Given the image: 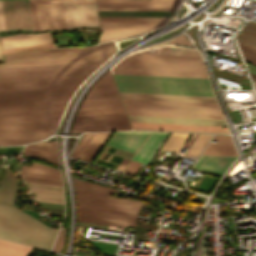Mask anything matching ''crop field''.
Masks as SVG:
<instances>
[{
	"instance_id": "d32e631a",
	"label": "crop field",
	"mask_w": 256,
	"mask_h": 256,
	"mask_svg": "<svg viewBox=\"0 0 256 256\" xmlns=\"http://www.w3.org/2000/svg\"><path fill=\"white\" fill-rule=\"evenodd\" d=\"M122 105L120 99L83 101L81 107Z\"/></svg>"
},
{
	"instance_id": "3316defc",
	"label": "crop field",
	"mask_w": 256,
	"mask_h": 256,
	"mask_svg": "<svg viewBox=\"0 0 256 256\" xmlns=\"http://www.w3.org/2000/svg\"><path fill=\"white\" fill-rule=\"evenodd\" d=\"M34 31L67 28L63 0H29Z\"/></svg>"
},
{
	"instance_id": "d1516ede",
	"label": "crop field",
	"mask_w": 256,
	"mask_h": 256,
	"mask_svg": "<svg viewBox=\"0 0 256 256\" xmlns=\"http://www.w3.org/2000/svg\"><path fill=\"white\" fill-rule=\"evenodd\" d=\"M131 129L125 113L77 115L72 132Z\"/></svg>"
},
{
	"instance_id": "5a996713",
	"label": "crop field",
	"mask_w": 256,
	"mask_h": 256,
	"mask_svg": "<svg viewBox=\"0 0 256 256\" xmlns=\"http://www.w3.org/2000/svg\"><path fill=\"white\" fill-rule=\"evenodd\" d=\"M102 34L99 42L142 33L163 18H99Z\"/></svg>"
},
{
	"instance_id": "28ad6ade",
	"label": "crop field",
	"mask_w": 256,
	"mask_h": 256,
	"mask_svg": "<svg viewBox=\"0 0 256 256\" xmlns=\"http://www.w3.org/2000/svg\"><path fill=\"white\" fill-rule=\"evenodd\" d=\"M33 31L28 0H0V32Z\"/></svg>"
},
{
	"instance_id": "0bd39190",
	"label": "crop field",
	"mask_w": 256,
	"mask_h": 256,
	"mask_svg": "<svg viewBox=\"0 0 256 256\" xmlns=\"http://www.w3.org/2000/svg\"><path fill=\"white\" fill-rule=\"evenodd\" d=\"M63 240H64V230H59L57 240L52 248V251H55V252L60 251L63 246Z\"/></svg>"
},
{
	"instance_id": "ae1a2a85",
	"label": "crop field",
	"mask_w": 256,
	"mask_h": 256,
	"mask_svg": "<svg viewBox=\"0 0 256 256\" xmlns=\"http://www.w3.org/2000/svg\"><path fill=\"white\" fill-rule=\"evenodd\" d=\"M189 136L190 134L171 133L161 149L179 152Z\"/></svg>"
},
{
	"instance_id": "22f410ed",
	"label": "crop field",
	"mask_w": 256,
	"mask_h": 256,
	"mask_svg": "<svg viewBox=\"0 0 256 256\" xmlns=\"http://www.w3.org/2000/svg\"><path fill=\"white\" fill-rule=\"evenodd\" d=\"M68 28L99 26L95 0H64Z\"/></svg>"
},
{
	"instance_id": "5866460e",
	"label": "crop field",
	"mask_w": 256,
	"mask_h": 256,
	"mask_svg": "<svg viewBox=\"0 0 256 256\" xmlns=\"http://www.w3.org/2000/svg\"><path fill=\"white\" fill-rule=\"evenodd\" d=\"M94 135V133H90V134H84V136L82 137V139L79 141V143L77 144V146L75 147V149L72 151V153L70 154L71 157H76L78 158V156L80 155V153L83 151V149L85 148V146L87 145V143L89 142V140L92 138V136ZM75 158V159H76Z\"/></svg>"
},
{
	"instance_id": "cbeb9de0",
	"label": "crop field",
	"mask_w": 256,
	"mask_h": 256,
	"mask_svg": "<svg viewBox=\"0 0 256 256\" xmlns=\"http://www.w3.org/2000/svg\"><path fill=\"white\" fill-rule=\"evenodd\" d=\"M173 0H97L98 10H169Z\"/></svg>"
},
{
	"instance_id": "b54c1fbb",
	"label": "crop field",
	"mask_w": 256,
	"mask_h": 256,
	"mask_svg": "<svg viewBox=\"0 0 256 256\" xmlns=\"http://www.w3.org/2000/svg\"><path fill=\"white\" fill-rule=\"evenodd\" d=\"M0 61H3L2 54H1V49H0Z\"/></svg>"
},
{
	"instance_id": "ac0d7876",
	"label": "crop field",
	"mask_w": 256,
	"mask_h": 256,
	"mask_svg": "<svg viewBox=\"0 0 256 256\" xmlns=\"http://www.w3.org/2000/svg\"><path fill=\"white\" fill-rule=\"evenodd\" d=\"M78 221L155 231L158 225L136 223L142 202L106 197L116 189L79 180L73 175Z\"/></svg>"
},
{
	"instance_id": "dafd665d",
	"label": "crop field",
	"mask_w": 256,
	"mask_h": 256,
	"mask_svg": "<svg viewBox=\"0 0 256 256\" xmlns=\"http://www.w3.org/2000/svg\"><path fill=\"white\" fill-rule=\"evenodd\" d=\"M122 98L217 102L215 97L120 93Z\"/></svg>"
},
{
	"instance_id": "dd49c442",
	"label": "crop field",
	"mask_w": 256,
	"mask_h": 256,
	"mask_svg": "<svg viewBox=\"0 0 256 256\" xmlns=\"http://www.w3.org/2000/svg\"><path fill=\"white\" fill-rule=\"evenodd\" d=\"M122 100L128 115L224 119L217 103Z\"/></svg>"
},
{
	"instance_id": "bd1437ed",
	"label": "crop field",
	"mask_w": 256,
	"mask_h": 256,
	"mask_svg": "<svg viewBox=\"0 0 256 256\" xmlns=\"http://www.w3.org/2000/svg\"><path fill=\"white\" fill-rule=\"evenodd\" d=\"M211 135L199 134L194 143L186 152L185 156L189 157L191 154L198 156L204 145L207 143Z\"/></svg>"
},
{
	"instance_id": "730fd06b",
	"label": "crop field",
	"mask_w": 256,
	"mask_h": 256,
	"mask_svg": "<svg viewBox=\"0 0 256 256\" xmlns=\"http://www.w3.org/2000/svg\"><path fill=\"white\" fill-rule=\"evenodd\" d=\"M240 44L256 48V23L248 22L237 36Z\"/></svg>"
},
{
	"instance_id": "bc2a9ffb",
	"label": "crop field",
	"mask_w": 256,
	"mask_h": 256,
	"mask_svg": "<svg viewBox=\"0 0 256 256\" xmlns=\"http://www.w3.org/2000/svg\"><path fill=\"white\" fill-rule=\"evenodd\" d=\"M31 193L35 194V199L40 201L64 204L62 187L48 186L27 182Z\"/></svg>"
},
{
	"instance_id": "92a150f3",
	"label": "crop field",
	"mask_w": 256,
	"mask_h": 256,
	"mask_svg": "<svg viewBox=\"0 0 256 256\" xmlns=\"http://www.w3.org/2000/svg\"><path fill=\"white\" fill-rule=\"evenodd\" d=\"M36 163H33L32 167L22 166L20 176L23 178L24 175H27V176L62 181L60 172L56 168L50 167V166H44L45 164L40 165Z\"/></svg>"
},
{
	"instance_id": "a9b5d70f",
	"label": "crop field",
	"mask_w": 256,
	"mask_h": 256,
	"mask_svg": "<svg viewBox=\"0 0 256 256\" xmlns=\"http://www.w3.org/2000/svg\"><path fill=\"white\" fill-rule=\"evenodd\" d=\"M31 247L0 240V256H27Z\"/></svg>"
},
{
	"instance_id": "733c2abd",
	"label": "crop field",
	"mask_w": 256,
	"mask_h": 256,
	"mask_svg": "<svg viewBox=\"0 0 256 256\" xmlns=\"http://www.w3.org/2000/svg\"><path fill=\"white\" fill-rule=\"evenodd\" d=\"M237 157L201 155L194 168L222 176Z\"/></svg>"
},
{
	"instance_id": "120bbe31",
	"label": "crop field",
	"mask_w": 256,
	"mask_h": 256,
	"mask_svg": "<svg viewBox=\"0 0 256 256\" xmlns=\"http://www.w3.org/2000/svg\"><path fill=\"white\" fill-rule=\"evenodd\" d=\"M114 150H115V147H111V146H110L109 149H108V151H107L108 153H107L106 157L104 158V160H106V158L109 156L110 153L113 154ZM122 160H123V157H119V156L113 155V157L110 159L109 162H107V161H103V162H102V160L97 159L96 164L100 165L101 162H102L101 166H105V167L111 168L114 163L120 164V162H121ZM116 166H117V165L114 164L112 168L115 169Z\"/></svg>"
},
{
	"instance_id": "03da06ac",
	"label": "crop field",
	"mask_w": 256,
	"mask_h": 256,
	"mask_svg": "<svg viewBox=\"0 0 256 256\" xmlns=\"http://www.w3.org/2000/svg\"><path fill=\"white\" fill-rule=\"evenodd\" d=\"M250 74H251V73H250ZM251 77H252V79H253L254 81H256V75L251 74Z\"/></svg>"
},
{
	"instance_id": "00972430",
	"label": "crop field",
	"mask_w": 256,
	"mask_h": 256,
	"mask_svg": "<svg viewBox=\"0 0 256 256\" xmlns=\"http://www.w3.org/2000/svg\"><path fill=\"white\" fill-rule=\"evenodd\" d=\"M111 134L112 132L95 133L84 151L79 156V159L92 163Z\"/></svg>"
},
{
	"instance_id": "e52e79f7",
	"label": "crop field",
	"mask_w": 256,
	"mask_h": 256,
	"mask_svg": "<svg viewBox=\"0 0 256 256\" xmlns=\"http://www.w3.org/2000/svg\"><path fill=\"white\" fill-rule=\"evenodd\" d=\"M59 116L0 120V145L29 142L51 135Z\"/></svg>"
},
{
	"instance_id": "412701ff",
	"label": "crop field",
	"mask_w": 256,
	"mask_h": 256,
	"mask_svg": "<svg viewBox=\"0 0 256 256\" xmlns=\"http://www.w3.org/2000/svg\"><path fill=\"white\" fill-rule=\"evenodd\" d=\"M112 73L208 78L201 57L132 54Z\"/></svg>"
},
{
	"instance_id": "4a817a6b",
	"label": "crop field",
	"mask_w": 256,
	"mask_h": 256,
	"mask_svg": "<svg viewBox=\"0 0 256 256\" xmlns=\"http://www.w3.org/2000/svg\"><path fill=\"white\" fill-rule=\"evenodd\" d=\"M22 155L58 165V153L53 141L28 145Z\"/></svg>"
},
{
	"instance_id": "5142ce71",
	"label": "crop field",
	"mask_w": 256,
	"mask_h": 256,
	"mask_svg": "<svg viewBox=\"0 0 256 256\" xmlns=\"http://www.w3.org/2000/svg\"><path fill=\"white\" fill-rule=\"evenodd\" d=\"M1 47L12 48V47H20L34 44H42L52 42L50 32L46 33H30V34H15L9 36L0 37Z\"/></svg>"
},
{
	"instance_id": "c035e120",
	"label": "crop field",
	"mask_w": 256,
	"mask_h": 256,
	"mask_svg": "<svg viewBox=\"0 0 256 256\" xmlns=\"http://www.w3.org/2000/svg\"><path fill=\"white\" fill-rule=\"evenodd\" d=\"M114 83L111 73L108 74L99 84Z\"/></svg>"
},
{
	"instance_id": "750c4746",
	"label": "crop field",
	"mask_w": 256,
	"mask_h": 256,
	"mask_svg": "<svg viewBox=\"0 0 256 256\" xmlns=\"http://www.w3.org/2000/svg\"><path fill=\"white\" fill-rule=\"evenodd\" d=\"M76 86L54 87L49 102L67 101L69 95Z\"/></svg>"
},
{
	"instance_id": "d3111659",
	"label": "crop field",
	"mask_w": 256,
	"mask_h": 256,
	"mask_svg": "<svg viewBox=\"0 0 256 256\" xmlns=\"http://www.w3.org/2000/svg\"><path fill=\"white\" fill-rule=\"evenodd\" d=\"M131 124H132V126H142V127H161V128H181V129L228 131L227 129H222V127H210V126H187V125H165V124H142V123H131Z\"/></svg>"
},
{
	"instance_id": "4177f3b9",
	"label": "crop field",
	"mask_w": 256,
	"mask_h": 256,
	"mask_svg": "<svg viewBox=\"0 0 256 256\" xmlns=\"http://www.w3.org/2000/svg\"><path fill=\"white\" fill-rule=\"evenodd\" d=\"M61 111H62V109L0 113V119L38 117V116H54V115H60Z\"/></svg>"
},
{
	"instance_id": "d8731c3e",
	"label": "crop field",
	"mask_w": 256,
	"mask_h": 256,
	"mask_svg": "<svg viewBox=\"0 0 256 256\" xmlns=\"http://www.w3.org/2000/svg\"><path fill=\"white\" fill-rule=\"evenodd\" d=\"M145 134L146 132L144 131L115 132L108 144L135 152ZM167 135L168 133L149 132L134 155L133 160L149 164Z\"/></svg>"
},
{
	"instance_id": "eef30255",
	"label": "crop field",
	"mask_w": 256,
	"mask_h": 256,
	"mask_svg": "<svg viewBox=\"0 0 256 256\" xmlns=\"http://www.w3.org/2000/svg\"><path fill=\"white\" fill-rule=\"evenodd\" d=\"M96 88V87H95ZM120 98L114 84L98 85L88 100Z\"/></svg>"
},
{
	"instance_id": "f4fd0767",
	"label": "crop field",
	"mask_w": 256,
	"mask_h": 256,
	"mask_svg": "<svg viewBox=\"0 0 256 256\" xmlns=\"http://www.w3.org/2000/svg\"><path fill=\"white\" fill-rule=\"evenodd\" d=\"M113 75L120 92L214 96L208 79Z\"/></svg>"
},
{
	"instance_id": "c21b1889",
	"label": "crop field",
	"mask_w": 256,
	"mask_h": 256,
	"mask_svg": "<svg viewBox=\"0 0 256 256\" xmlns=\"http://www.w3.org/2000/svg\"><path fill=\"white\" fill-rule=\"evenodd\" d=\"M186 55L201 56L197 50L186 48Z\"/></svg>"
},
{
	"instance_id": "d9b57169",
	"label": "crop field",
	"mask_w": 256,
	"mask_h": 256,
	"mask_svg": "<svg viewBox=\"0 0 256 256\" xmlns=\"http://www.w3.org/2000/svg\"><path fill=\"white\" fill-rule=\"evenodd\" d=\"M131 122L226 126L224 120L128 116Z\"/></svg>"
},
{
	"instance_id": "8a807250",
	"label": "crop field",
	"mask_w": 256,
	"mask_h": 256,
	"mask_svg": "<svg viewBox=\"0 0 256 256\" xmlns=\"http://www.w3.org/2000/svg\"><path fill=\"white\" fill-rule=\"evenodd\" d=\"M110 53L91 46L4 56L0 112L63 108L65 102L48 103L52 87L78 85Z\"/></svg>"
},
{
	"instance_id": "e1f06a70",
	"label": "crop field",
	"mask_w": 256,
	"mask_h": 256,
	"mask_svg": "<svg viewBox=\"0 0 256 256\" xmlns=\"http://www.w3.org/2000/svg\"><path fill=\"white\" fill-rule=\"evenodd\" d=\"M25 181L62 186V182H59V181H51V180H45V179H38V178H32V177H27V176H25Z\"/></svg>"
},
{
	"instance_id": "5d738f31",
	"label": "crop field",
	"mask_w": 256,
	"mask_h": 256,
	"mask_svg": "<svg viewBox=\"0 0 256 256\" xmlns=\"http://www.w3.org/2000/svg\"><path fill=\"white\" fill-rule=\"evenodd\" d=\"M254 82V81H253ZM254 84H255V87H256V82H254Z\"/></svg>"
},
{
	"instance_id": "1d83c4d3",
	"label": "crop field",
	"mask_w": 256,
	"mask_h": 256,
	"mask_svg": "<svg viewBox=\"0 0 256 256\" xmlns=\"http://www.w3.org/2000/svg\"><path fill=\"white\" fill-rule=\"evenodd\" d=\"M125 112L122 106L83 108L81 114Z\"/></svg>"
},
{
	"instance_id": "214f88e0",
	"label": "crop field",
	"mask_w": 256,
	"mask_h": 256,
	"mask_svg": "<svg viewBox=\"0 0 256 256\" xmlns=\"http://www.w3.org/2000/svg\"><path fill=\"white\" fill-rule=\"evenodd\" d=\"M212 140L217 144L209 143L203 154L237 156L230 135H214Z\"/></svg>"
},
{
	"instance_id": "b80d0937",
	"label": "crop field",
	"mask_w": 256,
	"mask_h": 256,
	"mask_svg": "<svg viewBox=\"0 0 256 256\" xmlns=\"http://www.w3.org/2000/svg\"><path fill=\"white\" fill-rule=\"evenodd\" d=\"M133 128H134V129H146V130H169V131H193V132L228 133V132H219V131L180 130V129H161V128H142V127H133Z\"/></svg>"
},
{
	"instance_id": "34b2d1b8",
	"label": "crop field",
	"mask_w": 256,
	"mask_h": 256,
	"mask_svg": "<svg viewBox=\"0 0 256 256\" xmlns=\"http://www.w3.org/2000/svg\"><path fill=\"white\" fill-rule=\"evenodd\" d=\"M18 176L6 170L0 185V237L49 250L57 229L48 227L13 205Z\"/></svg>"
},
{
	"instance_id": "028f5c9d",
	"label": "crop field",
	"mask_w": 256,
	"mask_h": 256,
	"mask_svg": "<svg viewBox=\"0 0 256 256\" xmlns=\"http://www.w3.org/2000/svg\"><path fill=\"white\" fill-rule=\"evenodd\" d=\"M240 45V44H239ZM244 58L247 62L256 64V49L240 45Z\"/></svg>"
}]
</instances>
